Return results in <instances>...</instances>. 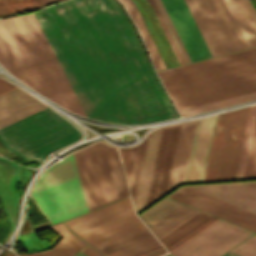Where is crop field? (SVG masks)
I'll use <instances>...</instances> for the list:
<instances>
[{"mask_svg":"<svg viewBox=\"0 0 256 256\" xmlns=\"http://www.w3.org/2000/svg\"><path fill=\"white\" fill-rule=\"evenodd\" d=\"M249 108H250V106L246 107L245 110H244L243 119H242V123H241L240 133H239V137H238V142H237V146H236V151H235V155H234V160H233V165H232L229 180L233 179V177H234V173H235V169H236V164H237V160H238V156H239V151H240V147H241V142H242V138H243V134H244V129H245L246 121H247Z\"/></svg>","mask_w":256,"mask_h":256,"instance_id":"31","label":"crop field"},{"mask_svg":"<svg viewBox=\"0 0 256 256\" xmlns=\"http://www.w3.org/2000/svg\"><path fill=\"white\" fill-rule=\"evenodd\" d=\"M217 219L218 218H215V217L211 218L210 220H208L207 222H205L204 224H202L201 226H199L198 228H196L195 230H193L192 232H190L189 234H187L186 236H184L183 238H181L180 240H178L177 242H175L174 244H172L171 246H169L166 249L169 252L172 251L173 249H175L176 247L181 245L183 242H185L186 240H188L189 238H191L192 236H194L195 234H197L198 232H200L201 230L206 228L208 225H210L211 223H213Z\"/></svg>","mask_w":256,"mask_h":256,"instance_id":"33","label":"crop field"},{"mask_svg":"<svg viewBox=\"0 0 256 256\" xmlns=\"http://www.w3.org/2000/svg\"><path fill=\"white\" fill-rule=\"evenodd\" d=\"M212 57L256 46V12L248 0H184Z\"/></svg>","mask_w":256,"mask_h":256,"instance_id":"4","label":"crop field"},{"mask_svg":"<svg viewBox=\"0 0 256 256\" xmlns=\"http://www.w3.org/2000/svg\"><path fill=\"white\" fill-rule=\"evenodd\" d=\"M172 198L256 231V214L214 198L188 186L169 195ZM179 201V202H180Z\"/></svg>","mask_w":256,"mask_h":256,"instance_id":"11","label":"crop field"},{"mask_svg":"<svg viewBox=\"0 0 256 256\" xmlns=\"http://www.w3.org/2000/svg\"><path fill=\"white\" fill-rule=\"evenodd\" d=\"M183 204L178 203L174 200H171L169 198H165L162 201H160L158 204L147 210L145 213L140 215L142 220L146 223V225L151 227L179 207H181Z\"/></svg>","mask_w":256,"mask_h":256,"instance_id":"23","label":"crop field"},{"mask_svg":"<svg viewBox=\"0 0 256 256\" xmlns=\"http://www.w3.org/2000/svg\"><path fill=\"white\" fill-rule=\"evenodd\" d=\"M130 150H131V148L119 149L125 173H126V168H127V164H128Z\"/></svg>","mask_w":256,"mask_h":256,"instance_id":"35","label":"crop field"},{"mask_svg":"<svg viewBox=\"0 0 256 256\" xmlns=\"http://www.w3.org/2000/svg\"><path fill=\"white\" fill-rule=\"evenodd\" d=\"M256 213V182L190 186Z\"/></svg>","mask_w":256,"mask_h":256,"instance_id":"16","label":"crop field"},{"mask_svg":"<svg viewBox=\"0 0 256 256\" xmlns=\"http://www.w3.org/2000/svg\"><path fill=\"white\" fill-rule=\"evenodd\" d=\"M199 212L184 205L149 229L159 240Z\"/></svg>","mask_w":256,"mask_h":256,"instance_id":"19","label":"crop field"},{"mask_svg":"<svg viewBox=\"0 0 256 256\" xmlns=\"http://www.w3.org/2000/svg\"><path fill=\"white\" fill-rule=\"evenodd\" d=\"M251 234L219 219L170 253L173 256H220Z\"/></svg>","mask_w":256,"mask_h":256,"instance_id":"10","label":"crop field"},{"mask_svg":"<svg viewBox=\"0 0 256 256\" xmlns=\"http://www.w3.org/2000/svg\"><path fill=\"white\" fill-rule=\"evenodd\" d=\"M33 13L87 117L116 124L177 117L114 0H70Z\"/></svg>","mask_w":256,"mask_h":256,"instance_id":"1","label":"crop field"},{"mask_svg":"<svg viewBox=\"0 0 256 256\" xmlns=\"http://www.w3.org/2000/svg\"><path fill=\"white\" fill-rule=\"evenodd\" d=\"M192 62L211 55L183 0H162Z\"/></svg>","mask_w":256,"mask_h":256,"instance_id":"12","label":"crop field"},{"mask_svg":"<svg viewBox=\"0 0 256 256\" xmlns=\"http://www.w3.org/2000/svg\"><path fill=\"white\" fill-rule=\"evenodd\" d=\"M254 133V132H253ZM256 177V128L244 179Z\"/></svg>","mask_w":256,"mask_h":256,"instance_id":"30","label":"crop field"},{"mask_svg":"<svg viewBox=\"0 0 256 256\" xmlns=\"http://www.w3.org/2000/svg\"><path fill=\"white\" fill-rule=\"evenodd\" d=\"M231 252L241 256H256V234L245 240Z\"/></svg>","mask_w":256,"mask_h":256,"instance_id":"29","label":"crop field"},{"mask_svg":"<svg viewBox=\"0 0 256 256\" xmlns=\"http://www.w3.org/2000/svg\"><path fill=\"white\" fill-rule=\"evenodd\" d=\"M161 129L162 127L151 131L148 136L136 197L134 201L136 212L144 208L145 205Z\"/></svg>","mask_w":256,"mask_h":256,"instance_id":"18","label":"crop field"},{"mask_svg":"<svg viewBox=\"0 0 256 256\" xmlns=\"http://www.w3.org/2000/svg\"><path fill=\"white\" fill-rule=\"evenodd\" d=\"M147 2H148V3L150 4V6L153 8V10H154V12H155V14H156V16H157V18H158V20H159V22H160L162 28H163V30H164V32H165L166 36H167V38H168V40H169V42H170V44H171V46H172V48H173V50H174V52H175V54H176V56H177L179 62H180V64H181V65L184 64V61H183V59H182V57H181V55H180V53H179V51H178V49H177V47H176L174 41H173V39H172V37H171V35H170V33H169V31H168L166 25H165V23H164V21H163L161 15H160V13H159V11H158V9H157V7H156L154 1H153V0H147Z\"/></svg>","mask_w":256,"mask_h":256,"instance_id":"32","label":"crop field"},{"mask_svg":"<svg viewBox=\"0 0 256 256\" xmlns=\"http://www.w3.org/2000/svg\"><path fill=\"white\" fill-rule=\"evenodd\" d=\"M255 124H256V105H253L250 108L234 179H243L244 177Z\"/></svg>","mask_w":256,"mask_h":256,"instance_id":"21","label":"crop field"},{"mask_svg":"<svg viewBox=\"0 0 256 256\" xmlns=\"http://www.w3.org/2000/svg\"><path fill=\"white\" fill-rule=\"evenodd\" d=\"M146 140H143V142L135 147H132L129 164L127 168V181L129 184V188L131 191V195L134 201V196L136 192L137 182L139 178L140 168L142 164L143 154L145 150Z\"/></svg>","mask_w":256,"mask_h":256,"instance_id":"22","label":"crop field"},{"mask_svg":"<svg viewBox=\"0 0 256 256\" xmlns=\"http://www.w3.org/2000/svg\"><path fill=\"white\" fill-rule=\"evenodd\" d=\"M154 1H155V3L157 5V7H158V9H159V11H160L164 21H165V23H166L170 33H171V35H172V37H173V39H174V41H175V43L177 45V47H178V49H179V51H180V53H181L185 63L191 62L189 57H188V55H187V53H186V51H185V49H184V47H183V45H182V43H181V41H180V39H179V37H178V35H177V33H176V31H175V29H174V26H173V24H172V22H171V20H170V18L168 16V14H167L165 8H164L161 0H154Z\"/></svg>","mask_w":256,"mask_h":256,"instance_id":"28","label":"crop field"},{"mask_svg":"<svg viewBox=\"0 0 256 256\" xmlns=\"http://www.w3.org/2000/svg\"><path fill=\"white\" fill-rule=\"evenodd\" d=\"M104 255L152 236L129 197L64 223Z\"/></svg>","mask_w":256,"mask_h":256,"instance_id":"5","label":"crop field"},{"mask_svg":"<svg viewBox=\"0 0 256 256\" xmlns=\"http://www.w3.org/2000/svg\"><path fill=\"white\" fill-rule=\"evenodd\" d=\"M158 246H160L159 242L152 236L106 256H135Z\"/></svg>","mask_w":256,"mask_h":256,"instance_id":"26","label":"crop field"},{"mask_svg":"<svg viewBox=\"0 0 256 256\" xmlns=\"http://www.w3.org/2000/svg\"><path fill=\"white\" fill-rule=\"evenodd\" d=\"M57 227H59L65 234H67L71 239H73L75 242H77L82 247L87 246L83 241H81L79 238H77L75 235H73L62 223L56 224Z\"/></svg>","mask_w":256,"mask_h":256,"instance_id":"34","label":"crop field"},{"mask_svg":"<svg viewBox=\"0 0 256 256\" xmlns=\"http://www.w3.org/2000/svg\"><path fill=\"white\" fill-rule=\"evenodd\" d=\"M135 22L156 70L166 68L132 0H119Z\"/></svg>","mask_w":256,"mask_h":256,"instance_id":"20","label":"crop field"},{"mask_svg":"<svg viewBox=\"0 0 256 256\" xmlns=\"http://www.w3.org/2000/svg\"><path fill=\"white\" fill-rule=\"evenodd\" d=\"M228 252H229V251H228ZM223 256H238V255L229 252V253H227V254H225V255H223Z\"/></svg>","mask_w":256,"mask_h":256,"instance_id":"38","label":"crop field"},{"mask_svg":"<svg viewBox=\"0 0 256 256\" xmlns=\"http://www.w3.org/2000/svg\"><path fill=\"white\" fill-rule=\"evenodd\" d=\"M196 122L183 123L181 126L167 192L184 181Z\"/></svg>","mask_w":256,"mask_h":256,"instance_id":"17","label":"crop field"},{"mask_svg":"<svg viewBox=\"0 0 256 256\" xmlns=\"http://www.w3.org/2000/svg\"><path fill=\"white\" fill-rule=\"evenodd\" d=\"M0 5H2L9 12L6 13L7 11L2 6H0V14H12L42 6V4L37 0H0Z\"/></svg>","mask_w":256,"mask_h":256,"instance_id":"27","label":"crop field"},{"mask_svg":"<svg viewBox=\"0 0 256 256\" xmlns=\"http://www.w3.org/2000/svg\"><path fill=\"white\" fill-rule=\"evenodd\" d=\"M74 154L90 211L129 195L116 148L97 142Z\"/></svg>","mask_w":256,"mask_h":256,"instance_id":"8","label":"crop field"},{"mask_svg":"<svg viewBox=\"0 0 256 256\" xmlns=\"http://www.w3.org/2000/svg\"><path fill=\"white\" fill-rule=\"evenodd\" d=\"M243 110L219 115L203 181L228 180Z\"/></svg>","mask_w":256,"mask_h":256,"instance_id":"9","label":"crop field"},{"mask_svg":"<svg viewBox=\"0 0 256 256\" xmlns=\"http://www.w3.org/2000/svg\"><path fill=\"white\" fill-rule=\"evenodd\" d=\"M5 256H15L14 253H10L8 255H5Z\"/></svg>","mask_w":256,"mask_h":256,"instance_id":"39","label":"crop field"},{"mask_svg":"<svg viewBox=\"0 0 256 256\" xmlns=\"http://www.w3.org/2000/svg\"><path fill=\"white\" fill-rule=\"evenodd\" d=\"M217 117L198 120L184 183L202 181Z\"/></svg>","mask_w":256,"mask_h":256,"instance_id":"14","label":"crop field"},{"mask_svg":"<svg viewBox=\"0 0 256 256\" xmlns=\"http://www.w3.org/2000/svg\"><path fill=\"white\" fill-rule=\"evenodd\" d=\"M0 64L53 102L86 117L33 13L0 19Z\"/></svg>","mask_w":256,"mask_h":256,"instance_id":"2","label":"crop field"},{"mask_svg":"<svg viewBox=\"0 0 256 256\" xmlns=\"http://www.w3.org/2000/svg\"><path fill=\"white\" fill-rule=\"evenodd\" d=\"M81 252H83L84 254H86L88 256H102L89 246L87 248L83 249Z\"/></svg>","mask_w":256,"mask_h":256,"instance_id":"36","label":"crop field"},{"mask_svg":"<svg viewBox=\"0 0 256 256\" xmlns=\"http://www.w3.org/2000/svg\"><path fill=\"white\" fill-rule=\"evenodd\" d=\"M177 110L256 91V48L158 72Z\"/></svg>","mask_w":256,"mask_h":256,"instance_id":"3","label":"crop field"},{"mask_svg":"<svg viewBox=\"0 0 256 256\" xmlns=\"http://www.w3.org/2000/svg\"><path fill=\"white\" fill-rule=\"evenodd\" d=\"M181 124L162 129L146 205L165 194Z\"/></svg>","mask_w":256,"mask_h":256,"instance_id":"13","label":"crop field"},{"mask_svg":"<svg viewBox=\"0 0 256 256\" xmlns=\"http://www.w3.org/2000/svg\"><path fill=\"white\" fill-rule=\"evenodd\" d=\"M163 256H170L169 254L163 255Z\"/></svg>","mask_w":256,"mask_h":256,"instance_id":"40","label":"crop field"},{"mask_svg":"<svg viewBox=\"0 0 256 256\" xmlns=\"http://www.w3.org/2000/svg\"><path fill=\"white\" fill-rule=\"evenodd\" d=\"M79 138V131L49 107L0 129V141L8 149L34 162Z\"/></svg>","mask_w":256,"mask_h":256,"instance_id":"6","label":"crop field"},{"mask_svg":"<svg viewBox=\"0 0 256 256\" xmlns=\"http://www.w3.org/2000/svg\"><path fill=\"white\" fill-rule=\"evenodd\" d=\"M43 5H45V4H48V3H52V1L53 2H55V1H58V0H39Z\"/></svg>","mask_w":256,"mask_h":256,"instance_id":"37","label":"crop field"},{"mask_svg":"<svg viewBox=\"0 0 256 256\" xmlns=\"http://www.w3.org/2000/svg\"><path fill=\"white\" fill-rule=\"evenodd\" d=\"M47 107L16 87L0 95V128Z\"/></svg>","mask_w":256,"mask_h":256,"instance_id":"15","label":"crop field"},{"mask_svg":"<svg viewBox=\"0 0 256 256\" xmlns=\"http://www.w3.org/2000/svg\"><path fill=\"white\" fill-rule=\"evenodd\" d=\"M30 197L53 224L88 212L74 154L46 169Z\"/></svg>","mask_w":256,"mask_h":256,"instance_id":"7","label":"crop field"},{"mask_svg":"<svg viewBox=\"0 0 256 256\" xmlns=\"http://www.w3.org/2000/svg\"><path fill=\"white\" fill-rule=\"evenodd\" d=\"M211 217L212 216L201 212L159 241L166 248Z\"/></svg>","mask_w":256,"mask_h":256,"instance_id":"25","label":"crop field"},{"mask_svg":"<svg viewBox=\"0 0 256 256\" xmlns=\"http://www.w3.org/2000/svg\"><path fill=\"white\" fill-rule=\"evenodd\" d=\"M255 98H256V92H253V93H249V94H245V95H241L233 98H228V99L180 110L179 113L181 114L182 117H185V116L233 105L236 103H240V102L255 99Z\"/></svg>","mask_w":256,"mask_h":256,"instance_id":"24","label":"crop field"}]
</instances>
